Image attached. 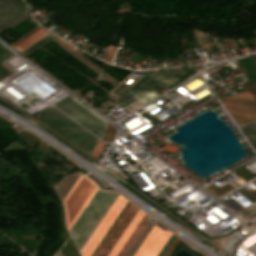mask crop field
Here are the masks:
<instances>
[{
	"label": "crop field",
	"mask_w": 256,
	"mask_h": 256,
	"mask_svg": "<svg viewBox=\"0 0 256 256\" xmlns=\"http://www.w3.org/2000/svg\"><path fill=\"white\" fill-rule=\"evenodd\" d=\"M35 117L57 130L78 147L82 148L88 153H91L97 138L72 122L57 110L48 107L39 111Z\"/></svg>",
	"instance_id": "crop-field-3"
},
{
	"label": "crop field",
	"mask_w": 256,
	"mask_h": 256,
	"mask_svg": "<svg viewBox=\"0 0 256 256\" xmlns=\"http://www.w3.org/2000/svg\"><path fill=\"white\" fill-rule=\"evenodd\" d=\"M196 70V66H193L160 72H149L115 102L122 107L137 99L145 103L159 95L154 90L160 87L167 90L191 76ZM127 92L130 94L128 95Z\"/></svg>",
	"instance_id": "crop-field-1"
},
{
	"label": "crop field",
	"mask_w": 256,
	"mask_h": 256,
	"mask_svg": "<svg viewBox=\"0 0 256 256\" xmlns=\"http://www.w3.org/2000/svg\"><path fill=\"white\" fill-rule=\"evenodd\" d=\"M180 240H181L180 238L176 237V239L171 244V246L169 247V249L167 250L164 256H170L173 250L175 249V247L177 246V244L180 242Z\"/></svg>",
	"instance_id": "crop-field-23"
},
{
	"label": "crop field",
	"mask_w": 256,
	"mask_h": 256,
	"mask_svg": "<svg viewBox=\"0 0 256 256\" xmlns=\"http://www.w3.org/2000/svg\"><path fill=\"white\" fill-rule=\"evenodd\" d=\"M153 225L154 224H152L148 221V223L146 224V226L144 227L142 232L139 234V236L137 237V239L135 240V242L133 243V245L131 246V248L129 249V251L127 252V254L125 256H133L134 255V253L136 252V250L138 249V247L140 246V244L142 243V241L144 240L146 235L149 233V231L151 230Z\"/></svg>",
	"instance_id": "crop-field-16"
},
{
	"label": "crop field",
	"mask_w": 256,
	"mask_h": 256,
	"mask_svg": "<svg viewBox=\"0 0 256 256\" xmlns=\"http://www.w3.org/2000/svg\"><path fill=\"white\" fill-rule=\"evenodd\" d=\"M54 36L52 35H47L46 37H44L43 39H41L40 41H38L37 43L33 44L32 46H30L29 48H27L26 50H24L23 52H21L23 55H28L31 52H33L34 50H36L37 48H39L40 46H42L44 43H46L47 41H49L50 39H52Z\"/></svg>",
	"instance_id": "crop-field-20"
},
{
	"label": "crop field",
	"mask_w": 256,
	"mask_h": 256,
	"mask_svg": "<svg viewBox=\"0 0 256 256\" xmlns=\"http://www.w3.org/2000/svg\"><path fill=\"white\" fill-rule=\"evenodd\" d=\"M128 201L118 195L100 224L97 226L83 249L81 250L82 256H91L97 245L100 243L106 232L109 230L113 222L116 220L122 209Z\"/></svg>",
	"instance_id": "crop-field-7"
},
{
	"label": "crop field",
	"mask_w": 256,
	"mask_h": 256,
	"mask_svg": "<svg viewBox=\"0 0 256 256\" xmlns=\"http://www.w3.org/2000/svg\"><path fill=\"white\" fill-rule=\"evenodd\" d=\"M10 56H12V53L0 44V81L8 75L12 74L1 66L2 64H4L2 61Z\"/></svg>",
	"instance_id": "crop-field-19"
},
{
	"label": "crop field",
	"mask_w": 256,
	"mask_h": 256,
	"mask_svg": "<svg viewBox=\"0 0 256 256\" xmlns=\"http://www.w3.org/2000/svg\"><path fill=\"white\" fill-rule=\"evenodd\" d=\"M256 124V123H255ZM254 122L239 126L248 140L256 149V125Z\"/></svg>",
	"instance_id": "crop-field-17"
},
{
	"label": "crop field",
	"mask_w": 256,
	"mask_h": 256,
	"mask_svg": "<svg viewBox=\"0 0 256 256\" xmlns=\"http://www.w3.org/2000/svg\"><path fill=\"white\" fill-rule=\"evenodd\" d=\"M145 214L138 212L108 256H116Z\"/></svg>",
	"instance_id": "crop-field-11"
},
{
	"label": "crop field",
	"mask_w": 256,
	"mask_h": 256,
	"mask_svg": "<svg viewBox=\"0 0 256 256\" xmlns=\"http://www.w3.org/2000/svg\"><path fill=\"white\" fill-rule=\"evenodd\" d=\"M105 146V143H103L102 141L100 140H97L96 144H95V147L91 153V155H93L95 158H98L99 155L101 154L103 148Z\"/></svg>",
	"instance_id": "crop-field-22"
},
{
	"label": "crop field",
	"mask_w": 256,
	"mask_h": 256,
	"mask_svg": "<svg viewBox=\"0 0 256 256\" xmlns=\"http://www.w3.org/2000/svg\"><path fill=\"white\" fill-rule=\"evenodd\" d=\"M144 217V216H143ZM148 221V216L145 215V217L142 219V221L140 222V224L138 225V227L135 229V231L133 232V234L130 236V238L128 239V241L126 242V244L123 246V248L121 249V251L118 253L117 256H124L125 253L128 251V249L130 248V246L132 245V243L134 242V240L136 239V237L138 236V234L140 233V231L143 229V227L145 226V224Z\"/></svg>",
	"instance_id": "crop-field-14"
},
{
	"label": "crop field",
	"mask_w": 256,
	"mask_h": 256,
	"mask_svg": "<svg viewBox=\"0 0 256 256\" xmlns=\"http://www.w3.org/2000/svg\"><path fill=\"white\" fill-rule=\"evenodd\" d=\"M255 123H256V121H255Z\"/></svg>",
	"instance_id": "crop-field-26"
},
{
	"label": "crop field",
	"mask_w": 256,
	"mask_h": 256,
	"mask_svg": "<svg viewBox=\"0 0 256 256\" xmlns=\"http://www.w3.org/2000/svg\"><path fill=\"white\" fill-rule=\"evenodd\" d=\"M220 101L237 124L256 119V101L248 90L220 98Z\"/></svg>",
	"instance_id": "crop-field-6"
},
{
	"label": "crop field",
	"mask_w": 256,
	"mask_h": 256,
	"mask_svg": "<svg viewBox=\"0 0 256 256\" xmlns=\"http://www.w3.org/2000/svg\"><path fill=\"white\" fill-rule=\"evenodd\" d=\"M171 234L168 231L163 232L154 225L134 256H157Z\"/></svg>",
	"instance_id": "crop-field-10"
},
{
	"label": "crop field",
	"mask_w": 256,
	"mask_h": 256,
	"mask_svg": "<svg viewBox=\"0 0 256 256\" xmlns=\"http://www.w3.org/2000/svg\"><path fill=\"white\" fill-rule=\"evenodd\" d=\"M137 208L129 203L125 211L122 213L110 233L107 235L94 256H107L114 244L117 242L135 213Z\"/></svg>",
	"instance_id": "crop-field-8"
},
{
	"label": "crop field",
	"mask_w": 256,
	"mask_h": 256,
	"mask_svg": "<svg viewBox=\"0 0 256 256\" xmlns=\"http://www.w3.org/2000/svg\"><path fill=\"white\" fill-rule=\"evenodd\" d=\"M55 105L100 139H103L108 123L77 101L74 97L70 95L56 102Z\"/></svg>",
	"instance_id": "crop-field-5"
},
{
	"label": "crop field",
	"mask_w": 256,
	"mask_h": 256,
	"mask_svg": "<svg viewBox=\"0 0 256 256\" xmlns=\"http://www.w3.org/2000/svg\"><path fill=\"white\" fill-rule=\"evenodd\" d=\"M115 49H116V47L108 45L104 54H103V56H102V59L111 63L112 59H113Z\"/></svg>",
	"instance_id": "crop-field-21"
},
{
	"label": "crop field",
	"mask_w": 256,
	"mask_h": 256,
	"mask_svg": "<svg viewBox=\"0 0 256 256\" xmlns=\"http://www.w3.org/2000/svg\"><path fill=\"white\" fill-rule=\"evenodd\" d=\"M239 62L242 64V66L247 70V72L250 74L248 75L249 79L251 80V84L256 89V65L254 62L249 58H243L239 59Z\"/></svg>",
	"instance_id": "crop-field-15"
},
{
	"label": "crop field",
	"mask_w": 256,
	"mask_h": 256,
	"mask_svg": "<svg viewBox=\"0 0 256 256\" xmlns=\"http://www.w3.org/2000/svg\"><path fill=\"white\" fill-rule=\"evenodd\" d=\"M96 190L97 187L93 181L82 175L79 176L63 201L68 231Z\"/></svg>",
	"instance_id": "crop-field-4"
},
{
	"label": "crop field",
	"mask_w": 256,
	"mask_h": 256,
	"mask_svg": "<svg viewBox=\"0 0 256 256\" xmlns=\"http://www.w3.org/2000/svg\"><path fill=\"white\" fill-rule=\"evenodd\" d=\"M116 197L117 194L113 191L106 192L98 189L72 226L69 232L72 235L79 252Z\"/></svg>",
	"instance_id": "crop-field-2"
},
{
	"label": "crop field",
	"mask_w": 256,
	"mask_h": 256,
	"mask_svg": "<svg viewBox=\"0 0 256 256\" xmlns=\"http://www.w3.org/2000/svg\"><path fill=\"white\" fill-rule=\"evenodd\" d=\"M237 190L240 191L242 194H244L246 197H248L250 200H252L254 202L252 205H250V206L244 208L243 210L237 212V213L241 214L242 216L248 218L256 212V199L253 196H251L247 191H245L242 187H240Z\"/></svg>",
	"instance_id": "crop-field-18"
},
{
	"label": "crop field",
	"mask_w": 256,
	"mask_h": 256,
	"mask_svg": "<svg viewBox=\"0 0 256 256\" xmlns=\"http://www.w3.org/2000/svg\"><path fill=\"white\" fill-rule=\"evenodd\" d=\"M79 175L80 174L65 176L64 179L62 180V182L60 184H58L57 186H55L54 189L58 192L62 201L65 198V196L67 195V193L69 192L70 188L72 187V185L74 184V182L76 181V179L78 178Z\"/></svg>",
	"instance_id": "crop-field-12"
},
{
	"label": "crop field",
	"mask_w": 256,
	"mask_h": 256,
	"mask_svg": "<svg viewBox=\"0 0 256 256\" xmlns=\"http://www.w3.org/2000/svg\"><path fill=\"white\" fill-rule=\"evenodd\" d=\"M175 238V236L172 234V236L170 237V239L167 241V243L165 244V246L163 247V249L160 251V253L158 254V256H162L164 254V252L166 251V249L169 247V245L171 244V242L173 241V239Z\"/></svg>",
	"instance_id": "crop-field-25"
},
{
	"label": "crop field",
	"mask_w": 256,
	"mask_h": 256,
	"mask_svg": "<svg viewBox=\"0 0 256 256\" xmlns=\"http://www.w3.org/2000/svg\"><path fill=\"white\" fill-rule=\"evenodd\" d=\"M38 28H40L39 26L36 27L35 29H33L32 31H30L29 33H27L26 35L22 36L21 38H19L18 40H16L15 42H13L12 45L13 47L16 46L18 43H20L22 40H24L26 37H28L30 34H32L34 31H36Z\"/></svg>",
	"instance_id": "crop-field-24"
},
{
	"label": "crop field",
	"mask_w": 256,
	"mask_h": 256,
	"mask_svg": "<svg viewBox=\"0 0 256 256\" xmlns=\"http://www.w3.org/2000/svg\"><path fill=\"white\" fill-rule=\"evenodd\" d=\"M47 34L49 33L40 28L14 48L21 52L33 43L37 42L38 40L46 36Z\"/></svg>",
	"instance_id": "crop-field-13"
},
{
	"label": "crop field",
	"mask_w": 256,
	"mask_h": 256,
	"mask_svg": "<svg viewBox=\"0 0 256 256\" xmlns=\"http://www.w3.org/2000/svg\"><path fill=\"white\" fill-rule=\"evenodd\" d=\"M26 15L28 6L25 0H0V31Z\"/></svg>",
	"instance_id": "crop-field-9"
}]
</instances>
